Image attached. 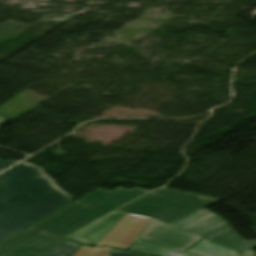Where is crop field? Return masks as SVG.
<instances>
[{
    "instance_id": "obj_1",
    "label": "crop field",
    "mask_w": 256,
    "mask_h": 256,
    "mask_svg": "<svg viewBox=\"0 0 256 256\" xmlns=\"http://www.w3.org/2000/svg\"><path fill=\"white\" fill-rule=\"evenodd\" d=\"M40 168L20 163L0 175V245L71 204Z\"/></svg>"
},
{
    "instance_id": "obj_2",
    "label": "crop field",
    "mask_w": 256,
    "mask_h": 256,
    "mask_svg": "<svg viewBox=\"0 0 256 256\" xmlns=\"http://www.w3.org/2000/svg\"><path fill=\"white\" fill-rule=\"evenodd\" d=\"M146 192L138 187L132 190L119 187L113 191L98 188L0 247V256H45L68 241L34 229L64 237Z\"/></svg>"
},
{
    "instance_id": "obj_3",
    "label": "crop field",
    "mask_w": 256,
    "mask_h": 256,
    "mask_svg": "<svg viewBox=\"0 0 256 256\" xmlns=\"http://www.w3.org/2000/svg\"><path fill=\"white\" fill-rule=\"evenodd\" d=\"M212 203L188 192L163 188L117 210L171 224Z\"/></svg>"
},
{
    "instance_id": "obj_4",
    "label": "crop field",
    "mask_w": 256,
    "mask_h": 256,
    "mask_svg": "<svg viewBox=\"0 0 256 256\" xmlns=\"http://www.w3.org/2000/svg\"><path fill=\"white\" fill-rule=\"evenodd\" d=\"M225 223L227 222L222 217L203 209L171 225L233 248L241 256H255L251 248L256 246V240H244L229 225L221 228Z\"/></svg>"
},
{
    "instance_id": "obj_5",
    "label": "crop field",
    "mask_w": 256,
    "mask_h": 256,
    "mask_svg": "<svg viewBox=\"0 0 256 256\" xmlns=\"http://www.w3.org/2000/svg\"><path fill=\"white\" fill-rule=\"evenodd\" d=\"M139 238L185 251L202 237L153 219Z\"/></svg>"
},
{
    "instance_id": "obj_6",
    "label": "crop field",
    "mask_w": 256,
    "mask_h": 256,
    "mask_svg": "<svg viewBox=\"0 0 256 256\" xmlns=\"http://www.w3.org/2000/svg\"><path fill=\"white\" fill-rule=\"evenodd\" d=\"M151 220L127 214L96 246L108 245L127 249Z\"/></svg>"
},
{
    "instance_id": "obj_7",
    "label": "crop field",
    "mask_w": 256,
    "mask_h": 256,
    "mask_svg": "<svg viewBox=\"0 0 256 256\" xmlns=\"http://www.w3.org/2000/svg\"><path fill=\"white\" fill-rule=\"evenodd\" d=\"M125 215L113 211L65 238L95 246Z\"/></svg>"
},
{
    "instance_id": "obj_8",
    "label": "crop field",
    "mask_w": 256,
    "mask_h": 256,
    "mask_svg": "<svg viewBox=\"0 0 256 256\" xmlns=\"http://www.w3.org/2000/svg\"><path fill=\"white\" fill-rule=\"evenodd\" d=\"M127 250L138 251L157 256H195L139 238H137Z\"/></svg>"
},
{
    "instance_id": "obj_9",
    "label": "crop field",
    "mask_w": 256,
    "mask_h": 256,
    "mask_svg": "<svg viewBox=\"0 0 256 256\" xmlns=\"http://www.w3.org/2000/svg\"><path fill=\"white\" fill-rule=\"evenodd\" d=\"M188 252L200 256H238L235 251L226 247L214 244L208 240H202L196 246L191 248Z\"/></svg>"
},
{
    "instance_id": "obj_10",
    "label": "crop field",
    "mask_w": 256,
    "mask_h": 256,
    "mask_svg": "<svg viewBox=\"0 0 256 256\" xmlns=\"http://www.w3.org/2000/svg\"><path fill=\"white\" fill-rule=\"evenodd\" d=\"M81 247L79 244L68 242L46 256H73ZM107 256H151L113 249Z\"/></svg>"
},
{
    "instance_id": "obj_11",
    "label": "crop field",
    "mask_w": 256,
    "mask_h": 256,
    "mask_svg": "<svg viewBox=\"0 0 256 256\" xmlns=\"http://www.w3.org/2000/svg\"><path fill=\"white\" fill-rule=\"evenodd\" d=\"M111 250L107 247L89 248L82 246L74 256H106Z\"/></svg>"
},
{
    "instance_id": "obj_12",
    "label": "crop field",
    "mask_w": 256,
    "mask_h": 256,
    "mask_svg": "<svg viewBox=\"0 0 256 256\" xmlns=\"http://www.w3.org/2000/svg\"><path fill=\"white\" fill-rule=\"evenodd\" d=\"M16 162L8 161V160H0V172L8 168L9 166L15 164Z\"/></svg>"
},
{
    "instance_id": "obj_13",
    "label": "crop field",
    "mask_w": 256,
    "mask_h": 256,
    "mask_svg": "<svg viewBox=\"0 0 256 256\" xmlns=\"http://www.w3.org/2000/svg\"><path fill=\"white\" fill-rule=\"evenodd\" d=\"M4 121H6V118L0 116V124H2Z\"/></svg>"
}]
</instances>
